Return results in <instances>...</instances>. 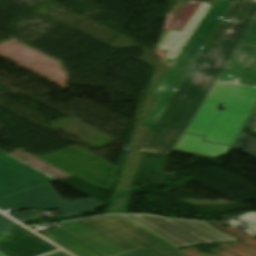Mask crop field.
I'll list each match as a JSON object with an SVG mask.
<instances>
[{"label":"crop field","instance_id":"crop-field-1","mask_svg":"<svg viewBox=\"0 0 256 256\" xmlns=\"http://www.w3.org/2000/svg\"><path fill=\"white\" fill-rule=\"evenodd\" d=\"M255 16L256 0L233 2L145 145L174 148ZM226 17L232 18L229 24L223 23Z\"/></svg>","mask_w":256,"mask_h":256},{"label":"crop field","instance_id":"crop-field-2","mask_svg":"<svg viewBox=\"0 0 256 256\" xmlns=\"http://www.w3.org/2000/svg\"><path fill=\"white\" fill-rule=\"evenodd\" d=\"M254 85L256 45L239 43L185 132L232 145L256 104Z\"/></svg>","mask_w":256,"mask_h":256},{"label":"crop field","instance_id":"crop-field-3","mask_svg":"<svg viewBox=\"0 0 256 256\" xmlns=\"http://www.w3.org/2000/svg\"><path fill=\"white\" fill-rule=\"evenodd\" d=\"M61 225L41 234L75 256H118L136 249L148 256H188L122 215Z\"/></svg>","mask_w":256,"mask_h":256},{"label":"crop field","instance_id":"crop-field-4","mask_svg":"<svg viewBox=\"0 0 256 256\" xmlns=\"http://www.w3.org/2000/svg\"><path fill=\"white\" fill-rule=\"evenodd\" d=\"M102 206L104 205L91 198L65 203L50 184L0 200L2 211L25 208L40 211L59 209L64 217L78 216Z\"/></svg>","mask_w":256,"mask_h":256},{"label":"crop field","instance_id":"crop-field-5","mask_svg":"<svg viewBox=\"0 0 256 256\" xmlns=\"http://www.w3.org/2000/svg\"><path fill=\"white\" fill-rule=\"evenodd\" d=\"M208 40L209 37L193 35L186 46L187 50L180 54L170 71L155 89L153 94L160 95V97L142 125L155 126Z\"/></svg>","mask_w":256,"mask_h":256},{"label":"crop field","instance_id":"crop-field-6","mask_svg":"<svg viewBox=\"0 0 256 256\" xmlns=\"http://www.w3.org/2000/svg\"><path fill=\"white\" fill-rule=\"evenodd\" d=\"M54 181L57 180L0 151V198Z\"/></svg>","mask_w":256,"mask_h":256},{"label":"crop field","instance_id":"crop-field-7","mask_svg":"<svg viewBox=\"0 0 256 256\" xmlns=\"http://www.w3.org/2000/svg\"><path fill=\"white\" fill-rule=\"evenodd\" d=\"M189 246L237 240L206 224L138 215Z\"/></svg>","mask_w":256,"mask_h":256},{"label":"crop field","instance_id":"crop-field-8","mask_svg":"<svg viewBox=\"0 0 256 256\" xmlns=\"http://www.w3.org/2000/svg\"><path fill=\"white\" fill-rule=\"evenodd\" d=\"M57 247L19 227L16 235L0 243V251L7 256H38L53 251Z\"/></svg>","mask_w":256,"mask_h":256},{"label":"crop field","instance_id":"crop-field-9","mask_svg":"<svg viewBox=\"0 0 256 256\" xmlns=\"http://www.w3.org/2000/svg\"><path fill=\"white\" fill-rule=\"evenodd\" d=\"M203 138L183 134L173 151L213 159L231 149L230 146L203 142Z\"/></svg>","mask_w":256,"mask_h":256},{"label":"crop field","instance_id":"crop-field-10","mask_svg":"<svg viewBox=\"0 0 256 256\" xmlns=\"http://www.w3.org/2000/svg\"><path fill=\"white\" fill-rule=\"evenodd\" d=\"M210 8L202 3L182 33L166 30L160 48L181 52Z\"/></svg>","mask_w":256,"mask_h":256},{"label":"crop field","instance_id":"crop-field-11","mask_svg":"<svg viewBox=\"0 0 256 256\" xmlns=\"http://www.w3.org/2000/svg\"><path fill=\"white\" fill-rule=\"evenodd\" d=\"M231 4V1L217 0L195 31V34L211 37L210 34L214 30L215 26L220 22Z\"/></svg>","mask_w":256,"mask_h":256},{"label":"crop field","instance_id":"crop-field-12","mask_svg":"<svg viewBox=\"0 0 256 256\" xmlns=\"http://www.w3.org/2000/svg\"><path fill=\"white\" fill-rule=\"evenodd\" d=\"M124 216L136 222L140 226L144 227L145 229L149 230L150 232L154 233L155 235L159 236L160 238L164 239L165 241H167L168 243L172 244L177 248L187 246L184 243L173 238L172 236L168 235L167 233L163 232L162 230L158 229L157 227L153 226L152 224L146 222L145 220L141 219L136 215H124Z\"/></svg>","mask_w":256,"mask_h":256},{"label":"crop field","instance_id":"crop-field-13","mask_svg":"<svg viewBox=\"0 0 256 256\" xmlns=\"http://www.w3.org/2000/svg\"><path fill=\"white\" fill-rule=\"evenodd\" d=\"M234 148L256 158V140L255 139L241 136L239 137Z\"/></svg>","mask_w":256,"mask_h":256},{"label":"crop field","instance_id":"crop-field-14","mask_svg":"<svg viewBox=\"0 0 256 256\" xmlns=\"http://www.w3.org/2000/svg\"><path fill=\"white\" fill-rule=\"evenodd\" d=\"M14 225L17 223L0 214V240L4 239L6 235L12 234L11 230Z\"/></svg>","mask_w":256,"mask_h":256},{"label":"crop field","instance_id":"crop-field-15","mask_svg":"<svg viewBox=\"0 0 256 256\" xmlns=\"http://www.w3.org/2000/svg\"><path fill=\"white\" fill-rule=\"evenodd\" d=\"M38 214V212L34 211H19L15 213H10L11 217L15 218L16 220L25 223L34 220L35 216Z\"/></svg>","mask_w":256,"mask_h":256},{"label":"crop field","instance_id":"crop-field-16","mask_svg":"<svg viewBox=\"0 0 256 256\" xmlns=\"http://www.w3.org/2000/svg\"><path fill=\"white\" fill-rule=\"evenodd\" d=\"M242 134L256 137V109L254 110V112H253L247 126L243 130Z\"/></svg>","mask_w":256,"mask_h":256},{"label":"crop field","instance_id":"crop-field-17","mask_svg":"<svg viewBox=\"0 0 256 256\" xmlns=\"http://www.w3.org/2000/svg\"><path fill=\"white\" fill-rule=\"evenodd\" d=\"M242 41L256 43V18L253 21L252 25L248 29L247 33L243 37Z\"/></svg>","mask_w":256,"mask_h":256},{"label":"crop field","instance_id":"crop-field-18","mask_svg":"<svg viewBox=\"0 0 256 256\" xmlns=\"http://www.w3.org/2000/svg\"><path fill=\"white\" fill-rule=\"evenodd\" d=\"M140 150L147 153L165 154V155H170L171 153L170 150H165V149H160V148H155V147H150L145 145H142Z\"/></svg>","mask_w":256,"mask_h":256},{"label":"crop field","instance_id":"crop-field-19","mask_svg":"<svg viewBox=\"0 0 256 256\" xmlns=\"http://www.w3.org/2000/svg\"><path fill=\"white\" fill-rule=\"evenodd\" d=\"M244 222H246L248 226L256 232V216L245 220Z\"/></svg>","mask_w":256,"mask_h":256},{"label":"crop field","instance_id":"crop-field-20","mask_svg":"<svg viewBox=\"0 0 256 256\" xmlns=\"http://www.w3.org/2000/svg\"><path fill=\"white\" fill-rule=\"evenodd\" d=\"M121 256H147V255H145L142 252L136 250V251H133V252L121 255Z\"/></svg>","mask_w":256,"mask_h":256},{"label":"crop field","instance_id":"crop-field-21","mask_svg":"<svg viewBox=\"0 0 256 256\" xmlns=\"http://www.w3.org/2000/svg\"><path fill=\"white\" fill-rule=\"evenodd\" d=\"M44 256H69V255L66 254L65 252L59 250V251H56V252H53V253H50V254H47Z\"/></svg>","mask_w":256,"mask_h":256},{"label":"crop field","instance_id":"crop-field-22","mask_svg":"<svg viewBox=\"0 0 256 256\" xmlns=\"http://www.w3.org/2000/svg\"><path fill=\"white\" fill-rule=\"evenodd\" d=\"M254 215H256V212L245 213V214H243L242 216H240L239 218H240V219H246V218H249V217L254 216Z\"/></svg>","mask_w":256,"mask_h":256},{"label":"crop field","instance_id":"crop-field-23","mask_svg":"<svg viewBox=\"0 0 256 256\" xmlns=\"http://www.w3.org/2000/svg\"><path fill=\"white\" fill-rule=\"evenodd\" d=\"M0 256H6V255H4V254L0 253Z\"/></svg>","mask_w":256,"mask_h":256}]
</instances>
